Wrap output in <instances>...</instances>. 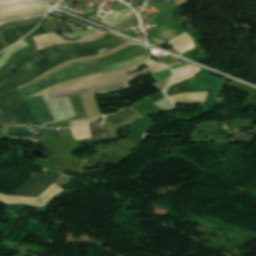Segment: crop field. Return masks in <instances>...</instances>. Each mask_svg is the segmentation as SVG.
<instances>
[{"label": "crop field", "instance_id": "8a807250", "mask_svg": "<svg viewBox=\"0 0 256 256\" xmlns=\"http://www.w3.org/2000/svg\"><path fill=\"white\" fill-rule=\"evenodd\" d=\"M118 38H120V37H117V36H114L113 34L107 33L105 36H103L102 38H100L94 42L62 44V45H68V47H64L65 49H58L57 47H63V46L56 45V46H53V47H50V48H47L44 50H40V51L34 53L33 55H31L28 59L24 60L22 63H20L18 66H16L14 68V69L20 71L21 73H19L18 71L13 69L6 75L0 77V81H2L4 79H7V78L19 73L7 80L0 82V87L30 74L31 72H33L37 68L41 67L45 63H47L59 56H62V55H65V54H68L71 52H76V51L96 49V48H98L112 40L118 39ZM127 41L128 40L120 38V39L110 42L96 50L76 52V53H71V54L59 57V58L45 64L44 66H42L38 70L34 71L30 75L0 88V97L7 93L18 90L17 87L35 79L36 77L42 75L43 73L49 71L50 69L54 68L55 66L65 62L67 60H70L73 58H79V57L99 55V54H102L105 51L110 50L122 43L127 42Z\"/></svg>", "mask_w": 256, "mask_h": 256}, {"label": "crop field", "instance_id": "ac0d7876", "mask_svg": "<svg viewBox=\"0 0 256 256\" xmlns=\"http://www.w3.org/2000/svg\"><path fill=\"white\" fill-rule=\"evenodd\" d=\"M142 65H146L149 68L137 71L127 76L124 75L126 73L138 70L137 68ZM164 69L168 68L156 64L148 58L123 69L103 73L100 75V77H98V74H95L62 83L33 96H40L49 91L51 98L73 96L78 94L98 95L114 93L120 90L129 89L130 86L127 82L139 76L148 74V72L154 73Z\"/></svg>", "mask_w": 256, "mask_h": 256}, {"label": "crop field", "instance_id": "34b2d1b8", "mask_svg": "<svg viewBox=\"0 0 256 256\" xmlns=\"http://www.w3.org/2000/svg\"><path fill=\"white\" fill-rule=\"evenodd\" d=\"M62 174L47 170L42 176L35 175L14 195L39 197L48 189ZM64 190L55 183L45 191L39 198H28L19 196H9L0 193V201L7 203L36 204L48 206Z\"/></svg>", "mask_w": 256, "mask_h": 256}, {"label": "crop field", "instance_id": "412701ff", "mask_svg": "<svg viewBox=\"0 0 256 256\" xmlns=\"http://www.w3.org/2000/svg\"><path fill=\"white\" fill-rule=\"evenodd\" d=\"M106 58L84 61L80 63L71 64L68 67L50 75L46 79L22 89L26 96L39 93L53 85L72 80L76 77L85 76L91 73L100 72Z\"/></svg>", "mask_w": 256, "mask_h": 256}, {"label": "crop field", "instance_id": "f4fd0767", "mask_svg": "<svg viewBox=\"0 0 256 256\" xmlns=\"http://www.w3.org/2000/svg\"><path fill=\"white\" fill-rule=\"evenodd\" d=\"M210 72L202 69L199 77H197L196 81L191 85L188 90L189 93H199V92H208L210 89L219 91L222 83L226 79H220L216 77L209 76ZM207 93H199V94H177L172 96V100L174 103H204L206 99Z\"/></svg>", "mask_w": 256, "mask_h": 256}, {"label": "crop field", "instance_id": "dd49c442", "mask_svg": "<svg viewBox=\"0 0 256 256\" xmlns=\"http://www.w3.org/2000/svg\"><path fill=\"white\" fill-rule=\"evenodd\" d=\"M50 8L32 1L0 6V25L17 20L46 16Z\"/></svg>", "mask_w": 256, "mask_h": 256}, {"label": "crop field", "instance_id": "e52e79f7", "mask_svg": "<svg viewBox=\"0 0 256 256\" xmlns=\"http://www.w3.org/2000/svg\"><path fill=\"white\" fill-rule=\"evenodd\" d=\"M0 107L8 119H5V115L0 109V115L5 117L0 116L1 120L7 122L35 123L19 91L0 98Z\"/></svg>", "mask_w": 256, "mask_h": 256}, {"label": "crop field", "instance_id": "d8731c3e", "mask_svg": "<svg viewBox=\"0 0 256 256\" xmlns=\"http://www.w3.org/2000/svg\"><path fill=\"white\" fill-rule=\"evenodd\" d=\"M104 34H106V33L99 31L93 35L78 39L76 41H67V40L59 37L57 34L42 35V36H36L33 38L37 43V51H38L40 49H44V48H47V47L55 45V44L93 41V40H96V39L102 37Z\"/></svg>", "mask_w": 256, "mask_h": 256}, {"label": "crop field", "instance_id": "5a996713", "mask_svg": "<svg viewBox=\"0 0 256 256\" xmlns=\"http://www.w3.org/2000/svg\"><path fill=\"white\" fill-rule=\"evenodd\" d=\"M19 91L22 94V96L24 97L36 122L53 121V118H52L42 96L41 97H26L21 90H19Z\"/></svg>", "mask_w": 256, "mask_h": 256}, {"label": "crop field", "instance_id": "3316defc", "mask_svg": "<svg viewBox=\"0 0 256 256\" xmlns=\"http://www.w3.org/2000/svg\"><path fill=\"white\" fill-rule=\"evenodd\" d=\"M154 123H152V120L150 118H143L136 120L133 124L130 130H132V134L129 139H132L138 143H141L145 133L148 129L153 127Z\"/></svg>", "mask_w": 256, "mask_h": 256}, {"label": "crop field", "instance_id": "28ad6ade", "mask_svg": "<svg viewBox=\"0 0 256 256\" xmlns=\"http://www.w3.org/2000/svg\"><path fill=\"white\" fill-rule=\"evenodd\" d=\"M201 68L192 66V65H186L181 68L174 69V80L171 85H174L176 83L182 82L184 80H187L195 75H198L200 72Z\"/></svg>", "mask_w": 256, "mask_h": 256}, {"label": "crop field", "instance_id": "d1516ede", "mask_svg": "<svg viewBox=\"0 0 256 256\" xmlns=\"http://www.w3.org/2000/svg\"><path fill=\"white\" fill-rule=\"evenodd\" d=\"M168 43H170L181 54L195 48L192 38L187 33Z\"/></svg>", "mask_w": 256, "mask_h": 256}, {"label": "crop field", "instance_id": "22f410ed", "mask_svg": "<svg viewBox=\"0 0 256 256\" xmlns=\"http://www.w3.org/2000/svg\"><path fill=\"white\" fill-rule=\"evenodd\" d=\"M138 112H136L134 109H132L131 107L118 113L115 114L113 116H108L106 117L115 127L122 125L123 123H125L126 121H128L134 114H136Z\"/></svg>", "mask_w": 256, "mask_h": 256}, {"label": "crop field", "instance_id": "cbeb9de0", "mask_svg": "<svg viewBox=\"0 0 256 256\" xmlns=\"http://www.w3.org/2000/svg\"><path fill=\"white\" fill-rule=\"evenodd\" d=\"M72 134L76 140H85L92 138L89 123L71 128Z\"/></svg>", "mask_w": 256, "mask_h": 256}, {"label": "crop field", "instance_id": "5142ce71", "mask_svg": "<svg viewBox=\"0 0 256 256\" xmlns=\"http://www.w3.org/2000/svg\"><path fill=\"white\" fill-rule=\"evenodd\" d=\"M90 126H91L93 141L105 140L112 137V133L102 130L91 123H90Z\"/></svg>", "mask_w": 256, "mask_h": 256}, {"label": "crop field", "instance_id": "d9b57169", "mask_svg": "<svg viewBox=\"0 0 256 256\" xmlns=\"http://www.w3.org/2000/svg\"><path fill=\"white\" fill-rule=\"evenodd\" d=\"M43 25H44L48 34L55 33V31H58V30H60L62 33H69V31L64 26L62 21L46 23V24H43Z\"/></svg>", "mask_w": 256, "mask_h": 256}, {"label": "crop field", "instance_id": "733c2abd", "mask_svg": "<svg viewBox=\"0 0 256 256\" xmlns=\"http://www.w3.org/2000/svg\"><path fill=\"white\" fill-rule=\"evenodd\" d=\"M43 18H37V19H31V20H24V21H17V22H13V23H7L3 26L0 27V32L4 29H9L15 26H20V25H24V24H30V23H37V22H41Z\"/></svg>", "mask_w": 256, "mask_h": 256}, {"label": "crop field", "instance_id": "4a817a6b", "mask_svg": "<svg viewBox=\"0 0 256 256\" xmlns=\"http://www.w3.org/2000/svg\"><path fill=\"white\" fill-rule=\"evenodd\" d=\"M171 80H172V76L167 78V79H164L160 82H157V83L153 84V86L161 92L169 86Z\"/></svg>", "mask_w": 256, "mask_h": 256}, {"label": "crop field", "instance_id": "bc2a9ffb", "mask_svg": "<svg viewBox=\"0 0 256 256\" xmlns=\"http://www.w3.org/2000/svg\"><path fill=\"white\" fill-rule=\"evenodd\" d=\"M39 24V23H38ZM38 24H33V25H27V26H21V27H16L21 35V37H24L26 34H28L31 30H33Z\"/></svg>", "mask_w": 256, "mask_h": 256}, {"label": "crop field", "instance_id": "214f88e0", "mask_svg": "<svg viewBox=\"0 0 256 256\" xmlns=\"http://www.w3.org/2000/svg\"><path fill=\"white\" fill-rule=\"evenodd\" d=\"M137 19L136 15H132L131 17H129L128 19H126L125 21H123L121 24H119L118 26H116L114 29L120 31L123 28H125L126 26L130 25L133 21H135Z\"/></svg>", "mask_w": 256, "mask_h": 256}, {"label": "crop field", "instance_id": "92a150f3", "mask_svg": "<svg viewBox=\"0 0 256 256\" xmlns=\"http://www.w3.org/2000/svg\"><path fill=\"white\" fill-rule=\"evenodd\" d=\"M163 98H165V96L162 94V93H160V94H158V95H155V96H153V97H150V98H148L150 101H152L153 103H155V102H157V101H159V100H161V99H163Z\"/></svg>", "mask_w": 256, "mask_h": 256}, {"label": "crop field", "instance_id": "dafd665d", "mask_svg": "<svg viewBox=\"0 0 256 256\" xmlns=\"http://www.w3.org/2000/svg\"><path fill=\"white\" fill-rule=\"evenodd\" d=\"M66 22L71 23V24H74V25H76V26H80V27H82V28H84V29H86V28L88 27V26L83 25V24H81V23H78V22H76V21H74V20H72V19H70V20H68V21H66Z\"/></svg>", "mask_w": 256, "mask_h": 256}, {"label": "crop field", "instance_id": "00972430", "mask_svg": "<svg viewBox=\"0 0 256 256\" xmlns=\"http://www.w3.org/2000/svg\"><path fill=\"white\" fill-rule=\"evenodd\" d=\"M88 121H89L88 119H80V120L71 121V126L81 124V123H85V122H88Z\"/></svg>", "mask_w": 256, "mask_h": 256}, {"label": "crop field", "instance_id": "a9b5d70f", "mask_svg": "<svg viewBox=\"0 0 256 256\" xmlns=\"http://www.w3.org/2000/svg\"><path fill=\"white\" fill-rule=\"evenodd\" d=\"M8 48V45L5 44L3 41H2V37H1V33H0V52L4 49Z\"/></svg>", "mask_w": 256, "mask_h": 256}, {"label": "crop field", "instance_id": "4177f3b9", "mask_svg": "<svg viewBox=\"0 0 256 256\" xmlns=\"http://www.w3.org/2000/svg\"><path fill=\"white\" fill-rule=\"evenodd\" d=\"M15 1H21V0H0V4L15 2Z\"/></svg>", "mask_w": 256, "mask_h": 256}, {"label": "crop field", "instance_id": "730fd06b", "mask_svg": "<svg viewBox=\"0 0 256 256\" xmlns=\"http://www.w3.org/2000/svg\"><path fill=\"white\" fill-rule=\"evenodd\" d=\"M0 132L5 134V132H4V125H3L2 121H0Z\"/></svg>", "mask_w": 256, "mask_h": 256}, {"label": "crop field", "instance_id": "eef30255", "mask_svg": "<svg viewBox=\"0 0 256 256\" xmlns=\"http://www.w3.org/2000/svg\"><path fill=\"white\" fill-rule=\"evenodd\" d=\"M41 1H44V2H46V3H51V2L61 1V0H41Z\"/></svg>", "mask_w": 256, "mask_h": 256}, {"label": "crop field", "instance_id": "ae1a2a85", "mask_svg": "<svg viewBox=\"0 0 256 256\" xmlns=\"http://www.w3.org/2000/svg\"><path fill=\"white\" fill-rule=\"evenodd\" d=\"M3 54H4V52L0 54V58H1V56H2Z\"/></svg>", "mask_w": 256, "mask_h": 256}]
</instances>
